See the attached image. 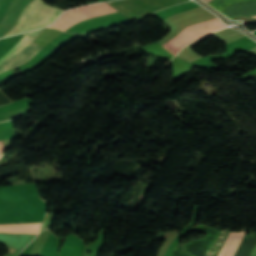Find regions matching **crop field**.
Returning a JSON list of instances; mask_svg holds the SVG:
<instances>
[{"label": "crop field", "instance_id": "1", "mask_svg": "<svg viewBox=\"0 0 256 256\" xmlns=\"http://www.w3.org/2000/svg\"><path fill=\"white\" fill-rule=\"evenodd\" d=\"M61 12L56 8L47 6L40 0H33L25 8L15 27L4 36L44 27L53 22Z\"/></svg>", "mask_w": 256, "mask_h": 256}, {"label": "crop field", "instance_id": "2", "mask_svg": "<svg viewBox=\"0 0 256 256\" xmlns=\"http://www.w3.org/2000/svg\"><path fill=\"white\" fill-rule=\"evenodd\" d=\"M32 41L33 39L22 35L9 48L2 52L0 54V73L27 61L42 48Z\"/></svg>", "mask_w": 256, "mask_h": 256}, {"label": "crop field", "instance_id": "3", "mask_svg": "<svg viewBox=\"0 0 256 256\" xmlns=\"http://www.w3.org/2000/svg\"><path fill=\"white\" fill-rule=\"evenodd\" d=\"M116 11L106 3L96 5L84 6L77 9L69 10L63 13L60 18L49 27L59 28L65 31L70 26L94 16L110 13Z\"/></svg>", "mask_w": 256, "mask_h": 256}, {"label": "crop field", "instance_id": "4", "mask_svg": "<svg viewBox=\"0 0 256 256\" xmlns=\"http://www.w3.org/2000/svg\"><path fill=\"white\" fill-rule=\"evenodd\" d=\"M246 231L247 229L244 228L241 232H231L218 256H234L235 251L246 234Z\"/></svg>", "mask_w": 256, "mask_h": 256}, {"label": "crop field", "instance_id": "5", "mask_svg": "<svg viewBox=\"0 0 256 256\" xmlns=\"http://www.w3.org/2000/svg\"><path fill=\"white\" fill-rule=\"evenodd\" d=\"M43 29L44 28L33 30V31H29V32H25V34L35 38Z\"/></svg>", "mask_w": 256, "mask_h": 256}, {"label": "crop field", "instance_id": "6", "mask_svg": "<svg viewBox=\"0 0 256 256\" xmlns=\"http://www.w3.org/2000/svg\"><path fill=\"white\" fill-rule=\"evenodd\" d=\"M2 152H3V147H2L1 142H0V153H2Z\"/></svg>", "mask_w": 256, "mask_h": 256}, {"label": "crop field", "instance_id": "7", "mask_svg": "<svg viewBox=\"0 0 256 256\" xmlns=\"http://www.w3.org/2000/svg\"><path fill=\"white\" fill-rule=\"evenodd\" d=\"M204 1H206V2L208 3L209 0H204ZM209 2H210V1H209Z\"/></svg>", "mask_w": 256, "mask_h": 256}, {"label": "crop field", "instance_id": "8", "mask_svg": "<svg viewBox=\"0 0 256 256\" xmlns=\"http://www.w3.org/2000/svg\"><path fill=\"white\" fill-rule=\"evenodd\" d=\"M3 154L0 155V158L2 157Z\"/></svg>", "mask_w": 256, "mask_h": 256}, {"label": "crop field", "instance_id": "9", "mask_svg": "<svg viewBox=\"0 0 256 256\" xmlns=\"http://www.w3.org/2000/svg\"><path fill=\"white\" fill-rule=\"evenodd\" d=\"M251 17H255L256 18V16H251Z\"/></svg>", "mask_w": 256, "mask_h": 256}]
</instances>
